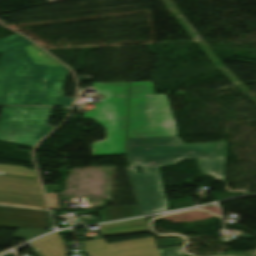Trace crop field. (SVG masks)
Segmentation results:
<instances>
[{
	"label": "crop field",
	"instance_id": "obj_1",
	"mask_svg": "<svg viewBox=\"0 0 256 256\" xmlns=\"http://www.w3.org/2000/svg\"><path fill=\"white\" fill-rule=\"evenodd\" d=\"M226 142L185 145L178 137L127 140L126 168L140 214L166 210L168 204L158 168L184 158H197L203 175L225 181ZM183 161V160H182ZM142 166L143 173L134 167Z\"/></svg>",
	"mask_w": 256,
	"mask_h": 256
},
{
	"label": "crop field",
	"instance_id": "obj_2",
	"mask_svg": "<svg viewBox=\"0 0 256 256\" xmlns=\"http://www.w3.org/2000/svg\"><path fill=\"white\" fill-rule=\"evenodd\" d=\"M33 44L18 34L0 40V104L71 106L62 91L69 71Z\"/></svg>",
	"mask_w": 256,
	"mask_h": 256
},
{
	"label": "crop field",
	"instance_id": "obj_3",
	"mask_svg": "<svg viewBox=\"0 0 256 256\" xmlns=\"http://www.w3.org/2000/svg\"><path fill=\"white\" fill-rule=\"evenodd\" d=\"M178 135L165 94L152 82L129 83L127 138Z\"/></svg>",
	"mask_w": 256,
	"mask_h": 256
},
{
	"label": "crop field",
	"instance_id": "obj_4",
	"mask_svg": "<svg viewBox=\"0 0 256 256\" xmlns=\"http://www.w3.org/2000/svg\"><path fill=\"white\" fill-rule=\"evenodd\" d=\"M94 88L106 96L93 112L83 114L107 132V139L92 144L93 157L123 155L125 153L128 83H95Z\"/></svg>",
	"mask_w": 256,
	"mask_h": 256
},
{
	"label": "crop field",
	"instance_id": "obj_5",
	"mask_svg": "<svg viewBox=\"0 0 256 256\" xmlns=\"http://www.w3.org/2000/svg\"><path fill=\"white\" fill-rule=\"evenodd\" d=\"M53 107H3L0 141L33 147L55 127H46Z\"/></svg>",
	"mask_w": 256,
	"mask_h": 256
},
{
	"label": "crop field",
	"instance_id": "obj_6",
	"mask_svg": "<svg viewBox=\"0 0 256 256\" xmlns=\"http://www.w3.org/2000/svg\"><path fill=\"white\" fill-rule=\"evenodd\" d=\"M0 204L47 210L37 178L0 174Z\"/></svg>",
	"mask_w": 256,
	"mask_h": 256
},
{
	"label": "crop field",
	"instance_id": "obj_7",
	"mask_svg": "<svg viewBox=\"0 0 256 256\" xmlns=\"http://www.w3.org/2000/svg\"><path fill=\"white\" fill-rule=\"evenodd\" d=\"M83 242L90 256H158L152 237L109 245L103 239Z\"/></svg>",
	"mask_w": 256,
	"mask_h": 256
},
{
	"label": "crop field",
	"instance_id": "obj_8",
	"mask_svg": "<svg viewBox=\"0 0 256 256\" xmlns=\"http://www.w3.org/2000/svg\"><path fill=\"white\" fill-rule=\"evenodd\" d=\"M38 256H65L67 254L60 236L51 234L32 242Z\"/></svg>",
	"mask_w": 256,
	"mask_h": 256
},
{
	"label": "crop field",
	"instance_id": "obj_9",
	"mask_svg": "<svg viewBox=\"0 0 256 256\" xmlns=\"http://www.w3.org/2000/svg\"><path fill=\"white\" fill-rule=\"evenodd\" d=\"M99 213L103 221L140 215L137 206L108 207Z\"/></svg>",
	"mask_w": 256,
	"mask_h": 256
},
{
	"label": "crop field",
	"instance_id": "obj_10",
	"mask_svg": "<svg viewBox=\"0 0 256 256\" xmlns=\"http://www.w3.org/2000/svg\"><path fill=\"white\" fill-rule=\"evenodd\" d=\"M0 173L37 177L36 172L34 170L28 169L27 167H21V166H11V165L0 164Z\"/></svg>",
	"mask_w": 256,
	"mask_h": 256
},
{
	"label": "crop field",
	"instance_id": "obj_11",
	"mask_svg": "<svg viewBox=\"0 0 256 256\" xmlns=\"http://www.w3.org/2000/svg\"><path fill=\"white\" fill-rule=\"evenodd\" d=\"M46 232H49V231L48 230H40V229L24 228V229H19L15 235L31 239L37 235H40V234H43Z\"/></svg>",
	"mask_w": 256,
	"mask_h": 256
},
{
	"label": "crop field",
	"instance_id": "obj_12",
	"mask_svg": "<svg viewBox=\"0 0 256 256\" xmlns=\"http://www.w3.org/2000/svg\"><path fill=\"white\" fill-rule=\"evenodd\" d=\"M161 256H183L179 246L158 248Z\"/></svg>",
	"mask_w": 256,
	"mask_h": 256
},
{
	"label": "crop field",
	"instance_id": "obj_13",
	"mask_svg": "<svg viewBox=\"0 0 256 256\" xmlns=\"http://www.w3.org/2000/svg\"><path fill=\"white\" fill-rule=\"evenodd\" d=\"M46 195H47L50 207L51 208H58L59 204H58L56 193H51V194H46Z\"/></svg>",
	"mask_w": 256,
	"mask_h": 256
},
{
	"label": "crop field",
	"instance_id": "obj_14",
	"mask_svg": "<svg viewBox=\"0 0 256 256\" xmlns=\"http://www.w3.org/2000/svg\"><path fill=\"white\" fill-rule=\"evenodd\" d=\"M46 193L61 191L60 185L44 186Z\"/></svg>",
	"mask_w": 256,
	"mask_h": 256
}]
</instances>
